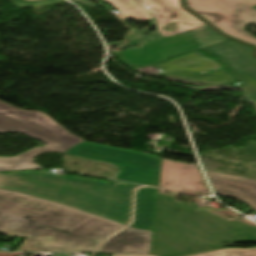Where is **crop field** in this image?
Returning a JSON list of instances; mask_svg holds the SVG:
<instances>
[{
	"mask_svg": "<svg viewBox=\"0 0 256 256\" xmlns=\"http://www.w3.org/2000/svg\"><path fill=\"white\" fill-rule=\"evenodd\" d=\"M123 226L63 204L0 189V233L26 237L19 251L95 252L102 239Z\"/></svg>",
	"mask_w": 256,
	"mask_h": 256,
	"instance_id": "crop-field-1",
	"label": "crop field"
},
{
	"mask_svg": "<svg viewBox=\"0 0 256 256\" xmlns=\"http://www.w3.org/2000/svg\"><path fill=\"white\" fill-rule=\"evenodd\" d=\"M138 185L105 183L77 176L36 175L32 172H0V187L63 202L99 213L126 224L131 218L132 191Z\"/></svg>",
	"mask_w": 256,
	"mask_h": 256,
	"instance_id": "crop-field-2",
	"label": "crop field"
},
{
	"mask_svg": "<svg viewBox=\"0 0 256 256\" xmlns=\"http://www.w3.org/2000/svg\"><path fill=\"white\" fill-rule=\"evenodd\" d=\"M176 196L158 193L153 254H179L220 242H256V228L195 212L190 203L175 201Z\"/></svg>",
	"mask_w": 256,
	"mask_h": 256,
	"instance_id": "crop-field-3",
	"label": "crop field"
},
{
	"mask_svg": "<svg viewBox=\"0 0 256 256\" xmlns=\"http://www.w3.org/2000/svg\"><path fill=\"white\" fill-rule=\"evenodd\" d=\"M67 154L98 160L121 167L119 180L156 186L160 157L128 151L85 141L75 145Z\"/></svg>",
	"mask_w": 256,
	"mask_h": 256,
	"instance_id": "crop-field-4",
	"label": "crop field"
},
{
	"mask_svg": "<svg viewBox=\"0 0 256 256\" xmlns=\"http://www.w3.org/2000/svg\"><path fill=\"white\" fill-rule=\"evenodd\" d=\"M8 131L26 134L59 152L84 141L64 130L42 112L21 110L0 101V134Z\"/></svg>",
	"mask_w": 256,
	"mask_h": 256,
	"instance_id": "crop-field-5",
	"label": "crop field"
},
{
	"mask_svg": "<svg viewBox=\"0 0 256 256\" xmlns=\"http://www.w3.org/2000/svg\"><path fill=\"white\" fill-rule=\"evenodd\" d=\"M224 40L227 39L206 26L143 43L141 48L123 51L120 54L128 64L144 67L163 61L175 54L196 50Z\"/></svg>",
	"mask_w": 256,
	"mask_h": 256,
	"instance_id": "crop-field-6",
	"label": "crop field"
},
{
	"mask_svg": "<svg viewBox=\"0 0 256 256\" xmlns=\"http://www.w3.org/2000/svg\"><path fill=\"white\" fill-rule=\"evenodd\" d=\"M186 6L226 35L256 45V38L243 31L256 24V0H186Z\"/></svg>",
	"mask_w": 256,
	"mask_h": 256,
	"instance_id": "crop-field-7",
	"label": "crop field"
},
{
	"mask_svg": "<svg viewBox=\"0 0 256 256\" xmlns=\"http://www.w3.org/2000/svg\"><path fill=\"white\" fill-rule=\"evenodd\" d=\"M205 50L242 81L238 86L256 103V58L252 56V48L229 40Z\"/></svg>",
	"mask_w": 256,
	"mask_h": 256,
	"instance_id": "crop-field-8",
	"label": "crop field"
},
{
	"mask_svg": "<svg viewBox=\"0 0 256 256\" xmlns=\"http://www.w3.org/2000/svg\"><path fill=\"white\" fill-rule=\"evenodd\" d=\"M156 66L166 76L182 79L189 78V80L207 84H224L234 80L232 74L227 70L197 75L220 67L216 61L207 58L200 52L177 57L171 61L156 64Z\"/></svg>",
	"mask_w": 256,
	"mask_h": 256,
	"instance_id": "crop-field-9",
	"label": "crop field"
},
{
	"mask_svg": "<svg viewBox=\"0 0 256 256\" xmlns=\"http://www.w3.org/2000/svg\"><path fill=\"white\" fill-rule=\"evenodd\" d=\"M160 187L177 192L187 189L209 193L197 165L164 159L161 164Z\"/></svg>",
	"mask_w": 256,
	"mask_h": 256,
	"instance_id": "crop-field-10",
	"label": "crop field"
},
{
	"mask_svg": "<svg viewBox=\"0 0 256 256\" xmlns=\"http://www.w3.org/2000/svg\"><path fill=\"white\" fill-rule=\"evenodd\" d=\"M205 171L216 194L239 199L256 210V180Z\"/></svg>",
	"mask_w": 256,
	"mask_h": 256,
	"instance_id": "crop-field-11",
	"label": "crop field"
},
{
	"mask_svg": "<svg viewBox=\"0 0 256 256\" xmlns=\"http://www.w3.org/2000/svg\"><path fill=\"white\" fill-rule=\"evenodd\" d=\"M151 235L127 227L106 241L98 253L149 254Z\"/></svg>",
	"mask_w": 256,
	"mask_h": 256,
	"instance_id": "crop-field-12",
	"label": "crop field"
},
{
	"mask_svg": "<svg viewBox=\"0 0 256 256\" xmlns=\"http://www.w3.org/2000/svg\"><path fill=\"white\" fill-rule=\"evenodd\" d=\"M156 16L158 24L177 21L182 25V30H191L203 27L206 24L197 17L186 12L179 6V0H140ZM163 15V17H159Z\"/></svg>",
	"mask_w": 256,
	"mask_h": 256,
	"instance_id": "crop-field-13",
	"label": "crop field"
},
{
	"mask_svg": "<svg viewBox=\"0 0 256 256\" xmlns=\"http://www.w3.org/2000/svg\"><path fill=\"white\" fill-rule=\"evenodd\" d=\"M156 193L155 188H142L137 191L135 220L131 226L153 230Z\"/></svg>",
	"mask_w": 256,
	"mask_h": 256,
	"instance_id": "crop-field-14",
	"label": "crop field"
},
{
	"mask_svg": "<svg viewBox=\"0 0 256 256\" xmlns=\"http://www.w3.org/2000/svg\"><path fill=\"white\" fill-rule=\"evenodd\" d=\"M48 152L57 151L47 145L27 151L17 157H0V170L42 169L38 164L32 163V159Z\"/></svg>",
	"mask_w": 256,
	"mask_h": 256,
	"instance_id": "crop-field-15",
	"label": "crop field"
},
{
	"mask_svg": "<svg viewBox=\"0 0 256 256\" xmlns=\"http://www.w3.org/2000/svg\"><path fill=\"white\" fill-rule=\"evenodd\" d=\"M114 7L121 10V13L129 16L138 21H147L155 19L146 8L141 5L137 0H105Z\"/></svg>",
	"mask_w": 256,
	"mask_h": 256,
	"instance_id": "crop-field-16",
	"label": "crop field"
},
{
	"mask_svg": "<svg viewBox=\"0 0 256 256\" xmlns=\"http://www.w3.org/2000/svg\"><path fill=\"white\" fill-rule=\"evenodd\" d=\"M194 256H256V248L251 249H221Z\"/></svg>",
	"mask_w": 256,
	"mask_h": 256,
	"instance_id": "crop-field-17",
	"label": "crop field"
},
{
	"mask_svg": "<svg viewBox=\"0 0 256 256\" xmlns=\"http://www.w3.org/2000/svg\"><path fill=\"white\" fill-rule=\"evenodd\" d=\"M14 5H16L19 9L30 7V6H36V5H43L48 3H53L57 1H64V0H40V1H34V2H26L24 0H9Z\"/></svg>",
	"mask_w": 256,
	"mask_h": 256,
	"instance_id": "crop-field-18",
	"label": "crop field"
},
{
	"mask_svg": "<svg viewBox=\"0 0 256 256\" xmlns=\"http://www.w3.org/2000/svg\"><path fill=\"white\" fill-rule=\"evenodd\" d=\"M163 27H164V25H158V31H159V33H160L161 35H163L164 37L182 32L181 26H180V24H178V23H177V25H176V32H165V31L162 30Z\"/></svg>",
	"mask_w": 256,
	"mask_h": 256,
	"instance_id": "crop-field-19",
	"label": "crop field"
},
{
	"mask_svg": "<svg viewBox=\"0 0 256 256\" xmlns=\"http://www.w3.org/2000/svg\"><path fill=\"white\" fill-rule=\"evenodd\" d=\"M216 249H221V248H211V249H207V250H203V251H198V252H190V253L182 254L180 256H190V255L199 254V253H203V252H208V251H212V250H216Z\"/></svg>",
	"mask_w": 256,
	"mask_h": 256,
	"instance_id": "crop-field-20",
	"label": "crop field"
},
{
	"mask_svg": "<svg viewBox=\"0 0 256 256\" xmlns=\"http://www.w3.org/2000/svg\"><path fill=\"white\" fill-rule=\"evenodd\" d=\"M112 256H151V255H122V254H112Z\"/></svg>",
	"mask_w": 256,
	"mask_h": 256,
	"instance_id": "crop-field-21",
	"label": "crop field"
},
{
	"mask_svg": "<svg viewBox=\"0 0 256 256\" xmlns=\"http://www.w3.org/2000/svg\"><path fill=\"white\" fill-rule=\"evenodd\" d=\"M55 256H67V254H56Z\"/></svg>",
	"mask_w": 256,
	"mask_h": 256,
	"instance_id": "crop-field-22",
	"label": "crop field"
}]
</instances>
